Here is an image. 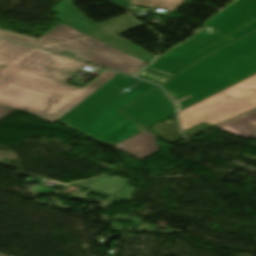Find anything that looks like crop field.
<instances>
[{"instance_id": "obj_1", "label": "crop field", "mask_w": 256, "mask_h": 256, "mask_svg": "<svg viewBox=\"0 0 256 256\" xmlns=\"http://www.w3.org/2000/svg\"><path fill=\"white\" fill-rule=\"evenodd\" d=\"M0 104L55 122L117 73L104 71L80 89L65 83L83 64L64 56L0 39Z\"/></svg>"}, {"instance_id": "obj_2", "label": "crop field", "mask_w": 256, "mask_h": 256, "mask_svg": "<svg viewBox=\"0 0 256 256\" xmlns=\"http://www.w3.org/2000/svg\"><path fill=\"white\" fill-rule=\"evenodd\" d=\"M138 81L139 79L136 78L116 75L57 122L107 146H112L146 129L143 126L140 131L135 129L139 124L119 113V110L157 87L141 81L127 92L122 91Z\"/></svg>"}, {"instance_id": "obj_3", "label": "crop field", "mask_w": 256, "mask_h": 256, "mask_svg": "<svg viewBox=\"0 0 256 256\" xmlns=\"http://www.w3.org/2000/svg\"><path fill=\"white\" fill-rule=\"evenodd\" d=\"M256 73V34L188 66L161 86L179 111Z\"/></svg>"}, {"instance_id": "obj_4", "label": "crop field", "mask_w": 256, "mask_h": 256, "mask_svg": "<svg viewBox=\"0 0 256 256\" xmlns=\"http://www.w3.org/2000/svg\"><path fill=\"white\" fill-rule=\"evenodd\" d=\"M204 26L207 29L155 59L146 69L174 76L188 65L256 30V0H233Z\"/></svg>"}, {"instance_id": "obj_5", "label": "crop field", "mask_w": 256, "mask_h": 256, "mask_svg": "<svg viewBox=\"0 0 256 256\" xmlns=\"http://www.w3.org/2000/svg\"><path fill=\"white\" fill-rule=\"evenodd\" d=\"M0 37L39 46L58 53L72 52L78 56L75 58L87 60L131 75L146 65V63L64 23L39 39L1 29Z\"/></svg>"}, {"instance_id": "obj_6", "label": "crop field", "mask_w": 256, "mask_h": 256, "mask_svg": "<svg viewBox=\"0 0 256 256\" xmlns=\"http://www.w3.org/2000/svg\"><path fill=\"white\" fill-rule=\"evenodd\" d=\"M256 106V74L179 113L186 130L199 123L214 125Z\"/></svg>"}, {"instance_id": "obj_7", "label": "crop field", "mask_w": 256, "mask_h": 256, "mask_svg": "<svg viewBox=\"0 0 256 256\" xmlns=\"http://www.w3.org/2000/svg\"><path fill=\"white\" fill-rule=\"evenodd\" d=\"M120 112L147 128L175 114V109L157 87Z\"/></svg>"}, {"instance_id": "obj_8", "label": "crop field", "mask_w": 256, "mask_h": 256, "mask_svg": "<svg viewBox=\"0 0 256 256\" xmlns=\"http://www.w3.org/2000/svg\"><path fill=\"white\" fill-rule=\"evenodd\" d=\"M74 0H62L59 6L53 9L57 13V19L77 28L89 35L100 29L101 25L87 19L81 15L78 10L72 5Z\"/></svg>"}, {"instance_id": "obj_9", "label": "crop field", "mask_w": 256, "mask_h": 256, "mask_svg": "<svg viewBox=\"0 0 256 256\" xmlns=\"http://www.w3.org/2000/svg\"><path fill=\"white\" fill-rule=\"evenodd\" d=\"M137 160L157 151L154 136L147 130L113 146Z\"/></svg>"}, {"instance_id": "obj_10", "label": "crop field", "mask_w": 256, "mask_h": 256, "mask_svg": "<svg viewBox=\"0 0 256 256\" xmlns=\"http://www.w3.org/2000/svg\"><path fill=\"white\" fill-rule=\"evenodd\" d=\"M127 183H128V180L103 176V177L95 178L91 181L73 183V185L91 188V189L112 195ZM134 190L135 188L127 186L121 191H119L118 193L114 194V196L129 200L132 198L130 196Z\"/></svg>"}, {"instance_id": "obj_11", "label": "crop field", "mask_w": 256, "mask_h": 256, "mask_svg": "<svg viewBox=\"0 0 256 256\" xmlns=\"http://www.w3.org/2000/svg\"><path fill=\"white\" fill-rule=\"evenodd\" d=\"M92 36L105 41L113 46H116L130 54H133L147 62H149L151 59L155 57V55L147 52L146 50L138 47L137 45L131 43L130 41L122 38L121 36L113 33L112 31L101 28L96 33H94ZM152 61V60H151Z\"/></svg>"}, {"instance_id": "obj_12", "label": "crop field", "mask_w": 256, "mask_h": 256, "mask_svg": "<svg viewBox=\"0 0 256 256\" xmlns=\"http://www.w3.org/2000/svg\"><path fill=\"white\" fill-rule=\"evenodd\" d=\"M218 128L242 137H256V110L223 123Z\"/></svg>"}, {"instance_id": "obj_13", "label": "crop field", "mask_w": 256, "mask_h": 256, "mask_svg": "<svg viewBox=\"0 0 256 256\" xmlns=\"http://www.w3.org/2000/svg\"><path fill=\"white\" fill-rule=\"evenodd\" d=\"M185 0H130L128 4L173 11Z\"/></svg>"}, {"instance_id": "obj_14", "label": "crop field", "mask_w": 256, "mask_h": 256, "mask_svg": "<svg viewBox=\"0 0 256 256\" xmlns=\"http://www.w3.org/2000/svg\"><path fill=\"white\" fill-rule=\"evenodd\" d=\"M137 76L139 78L148 80L150 82H153V83H156V84H159V85H161L167 79H169V77L160 75L158 73H155V72H152V71H149V70H146V69H144L140 73H138Z\"/></svg>"}, {"instance_id": "obj_15", "label": "crop field", "mask_w": 256, "mask_h": 256, "mask_svg": "<svg viewBox=\"0 0 256 256\" xmlns=\"http://www.w3.org/2000/svg\"><path fill=\"white\" fill-rule=\"evenodd\" d=\"M12 110L14 109L0 105V119H2L4 116L10 113Z\"/></svg>"}, {"instance_id": "obj_16", "label": "crop field", "mask_w": 256, "mask_h": 256, "mask_svg": "<svg viewBox=\"0 0 256 256\" xmlns=\"http://www.w3.org/2000/svg\"><path fill=\"white\" fill-rule=\"evenodd\" d=\"M109 1L119 4L125 8L129 0H109Z\"/></svg>"}, {"instance_id": "obj_17", "label": "crop field", "mask_w": 256, "mask_h": 256, "mask_svg": "<svg viewBox=\"0 0 256 256\" xmlns=\"http://www.w3.org/2000/svg\"><path fill=\"white\" fill-rule=\"evenodd\" d=\"M255 33H256V31L253 32V33H251V34H249V35H247V36H245V37H243V38H241V39L243 40V39H245V38H247V37H249V36H251V35H253V34H255Z\"/></svg>"}]
</instances>
